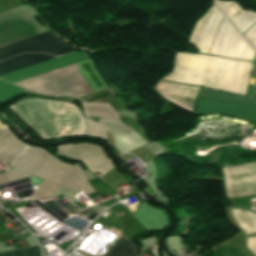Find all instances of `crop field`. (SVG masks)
I'll return each mask as SVG.
<instances>
[{
    "instance_id": "obj_8",
    "label": "crop field",
    "mask_w": 256,
    "mask_h": 256,
    "mask_svg": "<svg viewBox=\"0 0 256 256\" xmlns=\"http://www.w3.org/2000/svg\"><path fill=\"white\" fill-rule=\"evenodd\" d=\"M85 52H74L64 56H60L27 68H23L5 75L0 76V79L9 81L11 83L23 80L38 74H42L60 67H64L75 62L88 59Z\"/></svg>"
},
{
    "instance_id": "obj_17",
    "label": "crop field",
    "mask_w": 256,
    "mask_h": 256,
    "mask_svg": "<svg viewBox=\"0 0 256 256\" xmlns=\"http://www.w3.org/2000/svg\"><path fill=\"white\" fill-rule=\"evenodd\" d=\"M57 185H53L42 181L38 189L35 191L31 199L50 197Z\"/></svg>"
},
{
    "instance_id": "obj_20",
    "label": "crop field",
    "mask_w": 256,
    "mask_h": 256,
    "mask_svg": "<svg viewBox=\"0 0 256 256\" xmlns=\"http://www.w3.org/2000/svg\"><path fill=\"white\" fill-rule=\"evenodd\" d=\"M86 135H93L105 139V130L94 122L86 119Z\"/></svg>"
},
{
    "instance_id": "obj_15",
    "label": "crop field",
    "mask_w": 256,
    "mask_h": 256,
    "mask_svg": "<svg viewBox=\"0 0 256 256\" xmlns=\"http://www.w3.org/2000/svg\"><path fill=\"white\" fill-rule=\"evenodd\" d=\"M136 251L135 244L123 235L105 256H135Z\"/></svg>"
},
{
    "instance_id": "obj_3",
    "label": "crop field",
    "mask_w": 256,
    "mask_h": 256,
    "mask_svg": "<svg viewBox=\"0 0 256 256\" xmlns=\"http://www.w3.org/2000/svg\"><path fill=\"white\" fill-rule=\"evenodd\" d=\"M16 0H0V13L21 6ZM26 6L0 15V23L31 13ZM45 30L34 22L33 14L0 24V47L39 34Z\"/></svg>"
},
{
    "instance_id": "obj_9",
    "label": "crop field",
    "mask_w": 256,
    "mask_h": 256,
    "mask_svg": "<svg viewBox=\"0 0 256 256\" xmlns=\"http://www.w3.org/2000/svg\"><path fill=\"white\" fill-rule=\"evenodd\" d=\"M195 113H227L237 118L256 120V106L198 97Z\"/></svg>"
},
{
    "instance_id": "obj_6",
    "label": "crop field",
    "mask_w": 256,
    "mask_h": 256,
    "mask_svg": "<svg viewBox=\"0 0 256 256\" xmlns=\"http://www.w3.org/2000/svg\"><path fill=\"white\" fill-rule=\"evenodd\" d=\"M56 150L69 157L81 160L91 172L99 171L104 174L114 167L104 150L93 144L64 145L56 147Z\"/></svg>"
},
{
    "instance_id": "obj_11",
    "label": "crop field",
    "mask_w": 256,
    "mask_h": 256,
    "mask_svg": "<svg viewBox=\"0 0 256 256\" xmlns=\"http://www.w3.org/2000/svg\"><path fill=\"white\" fill-rule=\"evenodd\" d=\"M215 2L242 34L256 22V13L242 10L235 2Z\"/></svg>"
},
{
    "instance_id": "obj_19",
    "label": "crop field",
    "mask_w": 256,
    "mask_h": 256,
    "mask_svg": "<svg viewBox=\"0 0 256 256\" xmlns=\"http://www.w3.org/2000/svg\"><path fill=\"white\" fill-rule=\"evenodd\" d=\"M26 177H30V176L20 173V172H17V171H14V170L6 172V173H0V185L6 184L9 182H13L16 180H20V179H23Z\"/></svg>"
},
{
    "instance_id": "obj_14",
    "label": "crop field",
    "mask_w": 256,
    "mask_h": 256,
    "mask_svg": "<svg viewBox=\"0 0 256 256\" xmlns=\"http://www.w3.org/2000/svg\"><path fill=\"white\" fill-rule=\"evenodd\" d=\"M86 116L118 119L109 104L82 103Z\"/></svg>"
},
{
    "instance_id": "obj_4",
    "label": "crop field",
    "mask_w": 256,
    "mask_h": 256,
    "mask_svg": "<svg viewBox=\"0 0 256 256\" xmlns=\"http://www.w3.org/2000/svg\"><path fill=\"white\" fill-rule=\"evenodd\" d=\"M73 51L76 49L47 31L0 48V61L22 52H46L51 55H60Z\"/></svg>"
},
{
    "instance_id": "obj_10",
    "label": "crop field",
    "mask_w": 256,
    "mask_h": 256,
    "mask_svg": "<svg viewBox=\"0 0 256 256\" xmlns=\"http://www.w3.org/2000/svg\"><path fill=\"white\" fill-rule=\"evenodd\" d=\"M98 124L108 129L113 134L116 147L125 153H129L147 144L144 142L145 140L143 141L138 137L139 135L137 136L119 120L99 119Z\"/></svg>"
},
{
    "instance_id": "obj_16",
    "label": "crop field",
    "mask_w": 256,
    "mask_h": 256,
    "mask_svg": "<svg viewBox=\"0 0 256 256\" xmlns=\"http://www.w3.org/2000/svg\"><path fill=\"white\" fill-rule=\"evenodd\" d=\"M28 91L19 87L8 84L0 80V103L12 98L13 96L21 93H27Z\"/></svg>"
},
{
    "instance_id": "obj_5",
    "label": "crop field",
    "mask_w": 256,
    "mask_h": 256,
    "mask_svg": "<svg viewBox=\"0 0 256 256\" xmlns=\"http://www.w3.org/2000/svg\"><path fill=\"white\" fill-rule=\"evenodd\" d=\"M222 169L228 197L235 198L256 194V162Z\"/></svg>"
},
{
    "instance_id": "obj_22",
    "label": "crop field",
    "mask_w": 256,
    "mask_h": 256,
    "mask_svg": "<svg viewBox=\"0 0 256 256\" xmlns=\"http://www.w3.org/2000/svg\"><path fill=\"white\" fill-rule=\"evenodd\" d=\"M6 229L3 227V225L0 223V234L1 233H6Z\"/></svg>"
},
{
    "instance_id": "obj_13",
    "label": "crop field",
    "mask_w": 256,
    "mask_h": 256,
    "mask_svg": "<svg viewBox=\"0 0 256 256\" xmlns=\"http://www.w3.org/2000/svg\"><path fill=\"white\" fill-rule=\"evenodd\" d=\"M229 210L246 237L256 235V211L243 207H230Z\"/></svg>"
},
{
    "instance_id": "obj_21",
    "label": "crop field",
    "mask_w": 256,
    "mask_h": 256,
    "mask_svg": "<svg viewBox=\"0 0 256 256\" xmlns=\"http://www.w3.org/2000/svg\"><path fill=\"white\" fill-rule=\"evenodd\" d=\"M12 239L10 233L0 235V241Z\"/></svg>"
},
{
    "instance_id": "obj_12",
    "label": "crop field",
    "mask_w": 256,
    "mask_h": 256,
    "mask_svg": "<svg viewBox=\"0 0 256 256\" xmlns=\"http://www.w3.org/2000/svg\"><path fill=\"white\" fill-rule=\"evenodd\" d=\"M54 58L49 54H21L0 62V75Z\"/></svg>"
},
{
    "instance_id": "obj_1",
    "label": "crop field",
    "mask_w": 256,
    "mask_h": 256,
    "mask_svg": "<svg viewBox=\"0 0 256 256\" xmlns=\"http://www.w3.org/2000/svg\"><path fill=\"white\" fill-rule=\"evenodd\" d=\"M0 123V134L7 131ZM0 159L10 167L35 177L43 178L76 191L84 189L86 194L94 192L82 172L52 158L45 150L20 142L9 130L0 135Z\"/></svg>"
},
{
    "instance_id": "obj_7",
    "label": "crop field",
    "mask_w": 256,
    "mask_h": 256,
    "mask_svg": "<svg viewBox=\"0 0 256 256\" xmlns=\"http://www.w3.org/2000/svg\"><path fill=\"white\" fill-rule=\"evenodd\" d=\"M222 17L223 15L212 4L207 14L194 26L188 43L196 46L200 53L208 54Z\"/></svg>"
},
{
    "instance_id": "obj_2",
    "label": "crop field",
    "mask_w": 256,
    "mask_h": 256,
    "mask_svg": "<svg viewBox=\"0 0 256 256\" xmlns=\"http://www.w3.org/2000/svg\"><path fill=\"white\" fill-rule=\"evenodd\" d=\"M9 107L41 138L85 134V119L71 103L29 98Z\"/></svg>"
},
{
    "instance_id": "obj_18",
    "label": "crop field",
    "mask_w": 256,
    "mask_h": 256,
    "mask_svg": "<svg viewBox=\"0 0 256 256\" xmlns=\"http://www.w3.org/2000/svg\"><path fill=\"white\" fill-rule=\"evenodd\" d=\"M0 256H40L39 247H31L22 250L0 253Z\"/></svg>"
}]
</instances>
